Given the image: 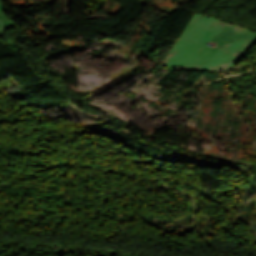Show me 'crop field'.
I'll return each mask as SVG.
<instances>
[{"label": "crop field", "mask_w": 256, "mask_h": 256, "mask_svg": "<svg viewBox=\"0 0 256 256\" xmlns=\"http://www.w3.org/2000/svg\"><path fill=\"white\" fill-rule=\"evenodd\" d=\"M245 55L256 44V33L194 13L181 37Z\"/></svg>", "instance_id": "obj_1"}, {"label": "crop field", "mask_w": 256, "mask_h": 256, "mask_svg": "<svg viewBox=\"0 0 256 256\" xmlns=\"http://www.w3.org/2000/svg\"><path fill=\"white\" fill-rule=\"evenodd\" d=\"M242 57L243 55L179 38L163 66L170 71L191 68L223 71L236 65Z\"/></svg>", "instance_id": "obj_2"}, {"label": "crop field", "mask_w": 256, "mask_h": 256, "mask_svg": "<svg viewBox=\"0 0 256 256\" xmlns=\"http://www.w3.org/2000/svg\"><path fill=\"white\" fill-rule=\"evenodd\" d=\"M8 10L0 0V31L9 30L15 28V22L9 20L3 11Z\"/></svg>", "instance_id": "obj_3"}]
</instances>
